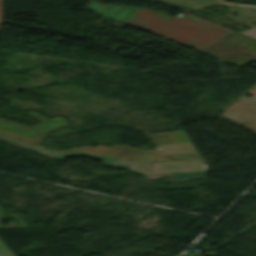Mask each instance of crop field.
Returning <instances> with one entry per match:
<instances>
[{
	"label": "crop field",
	"mask_w": 256,
	"mask_h": 256,
	"mask_svg": "<svg viewBox=\"0 0 256 256\" xmlns=\"http://www.w3.org/2000/svg\"><path fill=\"white\" fill-rule=\"evenodd\" d=\"M128 25L143 29L198 51L234 30L203 20L192 14L173 18L166 13L140 9Z\"/></svg>",
	"instance_id": "crop-field-1"
},
{
	"label": "crop field",
	"mask_w": 256,
	"mask_h": 256,
	"mask_svg": "<svg viewBox=\"0 0 256 256\" xmlns=\"http://www.w3.org/2000/svg\"><path fill=\"white\" fill-rule=\"evenodd\" d=\"M25 113L42 121L43 123L28 128L20 124L0 118V133L37 144L47 136L45 135L46 133L69 123L67 120L61 117L56 116L52 119H49L32 110Z\"/></svg>",
	"instance_id": "crop-field-2"
},
{
	"label": "crop field",
	"mask_w": 256,
	"mask_h": 256,
	"mask_svg": "<svg viewBox=\"0 0 256 256\" xmlns=\"http://www.w3.org/2000/svg\"><path fill=\"white\" fill-rule=\"evenodd\" d=\"M0 140L14 144L16 146H19V147H22L25 149L35 151V152L40 153L45 156L59 159V160H61L62 158L66 157V156L78 157L80 155H86L91 158L102 159L104 161V164H106V165L127 168L133 172L141 173V174L149 173V169L151 166V163L121 160L118 157L107 156V155L84 153V152L65 153V152H56V151L45 150V149L29 145L27 143L12 139L10 137H7V136L1 135V134H0Z\"/></svg>",
	"instance_id": "crop-field-3"
},
{
	"label": "crop field",
	"mask_w": 256,
	"mask_h": 256,
	"mask_svg": "<svg viewBox=\"0 0 256 256\" xmlns=\"http://www.w3.org/2000/svg\"><path fill=\"white\" fill-rule=\"evenodd\" d=\"M73 150L117 155L123 159H133V160H139V161H168V160L198 158L196 154L168 155L163 151H143V150H138V149H134V148L123 146V145H116L114 148H109L102 145H99L95 148L76 147V148H73Z\"/></svg>",
	"instance_id": "crop-field-4"
},
{
	"label": "crop field",
	"mask_w": 256,
	"mask_h": 256,
	"mask_svg": "<svg viewBox=\"0 0 256 256\" xmlns=\"http://www.w3.org/2000/svg\"><path fill=\"white\" fill-rule=\"evenodd\" d=\"M207 170L201 160H181L153 163L150 173Z\"/></svg>",
	"instance_id": "crop-field-5"
},
{
	"label": "crop field",
	"mask_w": 256,
	"mask_h": 256,
	"mask_svg": "<svg viewBox=\"0 0 256 256\" xmlns=\"http://www.w3.org/2000/svg\"><path fill=\"white\" fill-rule=\"evenodd\" d=\"M212 55L220 60L232 63L239 67L256 59V54L248 51L247 49L240 47L216 52L206 53ZM244 67V66H243Z\"/></svg>",
	"instance_id": "crop-field-6"
},
{
	"label": "crop field",
	"mask_w": 256,
	"mask_h": 256,
	"mask_svg": "<svg viewBox=\"0 0 256 256\" xmlns=\"http://www.w3.org/2000/svg\"><path fill=\"white\" fill-rule=\"evenodd\" d=\"M245 37H247V35L241 34V33L236 31L235 33H233V34L225 37L224 39L218 41L217 43L209 46L208 48H206L202 52L256 44V39L255 38H252V37L248 36L249 38L247 37L248 39H246ZM243 38H245L246 40H244V41H242L238 44H232V45L224 46L226 44L236 43V42H238L239 40H241Z\"/></svg>",
	"instance_id": "crop-field-7"
},
{
	"label": "crop field",
	"mask_w": 256,
	"mask_h": 256,
	"mask_svg": "<svg viewBox=\"0 0 256 256\" xmlns=\"http://www.w3.org/2000/svg\"><path fill=\"white\" fill-rule=\"evenodd\" d=\"M208 171L202 172H184V173H160L144 175L145 179L159 178L160 176H171L170 181H186L188 179L206 178Z\"/></svg>",
	"instance_id": "crop-field-8"
},
{
	"label": "crop field",
	"mask_w": 256,
	"mask_h": 256,
	"mask_svg": "<svg viewBox=\"0 0 256 256\" xmlns=\"http://www.w3.org/2000/svg\"><path fill=\"white\" fill-rule=\"evenodd\" d=\"M161 1L195 9L207 4H211L214 2H222L225 0H161Z\"/></svg>",
	"instance_id": "crop-field-9"
},
{
	"label": "crop field",
	"mask_w": 256,
	"mask_h": 256,
	"mask_svg": "<svg viewBox=\"0 0 256 256\" xmlns=\"http://www.w3.org/2000/svg\"><path fill=\"white\" fill-rule=\"evenodd\" d=\"M0 256H13L9 249L0 240Z\"/></svg>",
	"instance_id": "crop-field-10"
},
{
	"label": "crop field",
	"mask_w": 256,
	"mask_h": 256,
	"mask_svg": "<svg viewBox=\"0 0 256 256\" xmlns=\"http://www.w3.org/2000/svg\"><path fill=\"white\" fill-rule=\"evenodd\" d=\"M248 49L256 52V45H252V46H246Z\"/></svg>",
	"instance_id": "crop-field-11"
},
{
	"label": "crop field",
	"mask_w": 256,
	"mask_h": 256,
	"mask_svg": "<svg viewBox=\"0 0 256 256\" xmlns=\"http://www.w3.org/2000/svg\"><path fill=\"white\" fill-rule=\"evenodd\" d=\"M0 24H2V19H1V0H0Z\"/></svg>",
	"instance_id": "crop-field-12"
},
{
	"label": "crop field",
	"mask_w": 256,
	"mask_h": 256,
	"mask_svg": "<svg viewBox=\"0 0 256 256\" xmlns=\"http://www.w3.org/2000/svg\"><path fill=\"white\" fill-rule=\"evenodd\" d=\"M1 26V25H0Z\"/></svg>",
	"instance_id": "crop-field-13"
}]
</instances>
